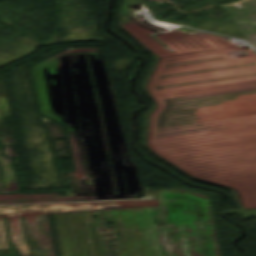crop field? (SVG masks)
<instances>
[{
    "mask_svg": "<svg viewBox=\"0 0 256 256\" xmlns=\"http://www.w3.org/2000/svg\"><path fill=\"white\" fill-rule=\"evenodd\" d=\"M159 205L158 200L98 201L0 206V256H54L48 214L102 208H128Z\"/></svg>",
    "mask_w": 256,
    "mask_h": 256,
    "instance_id": "8a807250",
    "label": "crop field"
}]
</instances>
